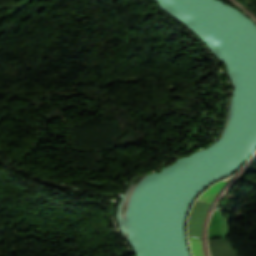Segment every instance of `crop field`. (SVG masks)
<instances>
[{
  "label": "crop field",
  "mask_w": 256,
  "mask_h": 256,
  "mask_svg": "<svg viewBox=\"0 0 256 256\" xmlns=\"http://www.w3.org/2000/svg\"><path fill=\"white\" fill-rule=\"evenodd\" d=\"M225 183L222 181L212 185L209 189H207L198 199L197 201L211 204L219 190L223 187Z\"/></svg>",
  "instance_id": "1"
},
{
  "label": "crop field",
  "mask_w": 256,
  "mask_h": 256,
  "mask_svg": "<svg viewBox=\"0 0 256 256\" xmlns=\"http://www.w3.org/2000/svg\"><path fill=\"white\" fill-rule=\"evenodd\" d=\"M197 239V238H195ZM195 239H189L192 256H203L202 254V247H201V241L195 240Z\"/></svg>",
  "instance_id": "2"
}]
</instances>
